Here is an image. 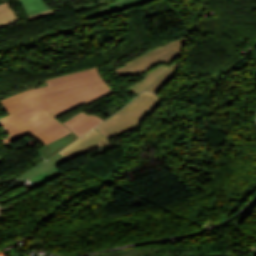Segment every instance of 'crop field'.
<instances>
[{"mask_svg":"<svg viewBox=\"0 0 256 256\" xmlns=\"http://www.w3.org/2000/svg\"><path fill=\"white\" fill-rule=\"evenodd\" d=\"M46 82L49 86L1 100L10 114L1 123L11 135L3 139L5 144L30 133L45 145L37 151L48 159L78 138L53 117L83 103L89 105L113 91L100 77L97 67Z\"/></svg>","mask_w":256,"mask_h":256,"instance_id":"1","label":"crop field"},{"mask_svg":"<svg viewBox=\"0 0 256 256\" xmlns=\"http://www.w3.org/2000/svg\"><path fill=\"white\" fill-rule=\"evenodd\" d=\"M159 102L160 101L156 95L149 92H143L126 108L111 116L95 129L106 136L107 139H112L133 131L137 129L144 118L158 106Z\"/></svg>","mask_w":256,"mask_h":256,"instance_id":"2","label":"crop field"},{"mask_svg":"<svg viewBox=\"0 0 256 256\" xmlns=\"http://www.w3.org/2000/svg\"><path fill=\"white\" fill-rule=\"evenodd\" d=\"M185 38L182 37L164 46L156 48L135 60L114 70L118 77L139 76L146 73L152 67L162 62L170 65L172 61L181 55Z\"/></svg>","mask_w":256,"mask_h":256,"instance_id":"3","label":"crop field"},{"mask_svg":"<svg viewBox=\"0 0 256 256\" xmlns=\"http://www.w3.org/2000/svg\"><path fill=\"white\" fill-rule=\"evenodd\" d=\"M176 72L177 61L172 63L170 66L160 63L149 72L144 74V80L133 85L129 89H131L136 94H139L143 90L156 93L168 84Z\"/></svg>","mask_w":256,"mask_h":256,"instance_id":"4","label":"crop field"},{"mask_svg":"<svg viewBox=\"0 0 256 256\" xmlns=\"http://www.w3.org/2000/svg\"><path fill=\"white\" fill-rule=\"evenodd\" d=\"M108 143L110 142L107 139H105L98 131L93 129L90 133L71 143L59 153L66 159L70 160Z\"/></svg>","mask_w":256,"mask_h":256,"instance_id":"5","label":"crop field"},{"mask_svg":"<svg viewBox=\"0 0 256 256\" xmlns=\"http://www.w3.org/2000/svg\"><path fill=\"white\" fill-rule=\"evenodd\" d=\"M147 1H150V0H117V1H114L112 3L106 2L110 5H107L105 7L97 9V10H95V11H93V12H91V13L85 15V16H82V18L84 20H89V19H92V18H95V17H98V16L108 14V13L121 11V10L139 5V4L147 2ZM103 2L94 3V4H91V5H87V6L74 7V9H89L91 7L98 6L99 4H101Z\"/></svg>","mask_w":256,"mask_h":256,"instance_id":"6","label":"crop field"},{"mask_svg":"<svg viewBox=\"0 0 256 256\" xmlns=\"http://www.w3.org/2000/svg\"><path fill=\"white\" fill-rule=\"evenodd\" d=\"M102 121L103 119L97 116L81 112L76 117L63 124L73 130L80 137Z\"/></svg>","mask_w":256,"mask_h":256,"instance_id":"7","label":"crop field"},{"mask_svg":"<svg viewBox=\"0 0 256 256\" xmlns=\"http://www.w3.org/2000/svg\"><path fill=\"white\" fill-rule=\"evenodd\" d=\"M67 162L66 160H64L61 156H59L58 154L55 155L53 158H51L50 160H48L47 162H45L44 164L38 166L37 168H35L34 170H32L31 172H29L27 175L17 179L20 182L33 177L37 174H40L42 172H45L53 167H58L59 165H61L62 163Z\"/></svg>","mask_w":256,"mask_h":256,"instance_id":"8","label":"crop field"},{"mask_svg":"<svg viewBox=\"0 0 256 256\" xmlns=\"http://www.w3.org/2000/svg\"><path fill=\"white\" fill-rule=\"evenodd\" d=\"M18 20L8 3L0 5V27Z\"/></svg>","mask_w":256,"mask_h":256,"instance_id":"9","label":"crop field"},{"mask_svg":"<svg viewBox=\"0 0 256 256\" xmlns=\"http://www.w3.org/2000/svg\"><path fill=\"white\" fill-rule=\"evenodd\" d=\"M63 172H61L60 170H58L57 168H54L50 171H47L45 173H42L40 175H37L33 178H30V181L33 185H35L36 187L59 176L60 174H62Z\"/></svg>","mask_w":256,"mask_h":256,"instance_id":"10","label":"crop field"},{"mask_svg":"<svg viewBox=\"0 0 256 256\" xmlns=\"http://www.w3.org/2000/svg\"><path fill=\"white\" fill-rule=\"evenodd\" d=\"M53 13H55L54 10H50V11L41 13V14H39V15L29 17V18H27V19H28V21H31V20L37 19V18H39V17L45 16V15H49V14H53Z\"/></svg>","mask_w":256,"mask_h":256,"instance_id":"11","label":"crop field"},{"mask_svg":"<svg viewBox=\"0 0 256 256\" xmlns=\"http://www.w3.org/2000/svg\"><path fill=\"white\" fill-rule=\"evenodd\" d=\"M97 1H100V0H97Z\"/></svg>","mask_w":256,"mask_h":256,"instance_id":"12","label":"crop field"},{"mask_svg":"<svg viewBox=\"0 0 256 256\" xmlns=\"http://www.w3.org/2000/svg\"><path fill=\"white\" fill-rule=\"evenodd\" d=\"M1 126V125H0Z\"/></svg>","mask_w":256,"mask_h":256,"instance_id":"13","label":"crop field"}]
</instances>
